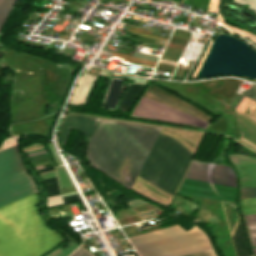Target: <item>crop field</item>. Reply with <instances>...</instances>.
<instances>
[{
    "mask_svg": "<svg viewBox=\"0 0 256 256\" xmlns=\"http://www.w3.org/2000/svg\"><path fill=\"white\" fill-rule=\"evenodd\" d=\"M59 194V193H58ZM55 195V194H54ZM51 196V195H50Z\"/></svg>",
    "mask_w": 256,
    "mask_h": 256,
    "instance_id": "obj_38",
    "label": "crop field"
},
{
    "mask_svg": "<svg viewBox=\"0 0 256 256\" xmlns=\"http://www.w3.org/2000/svg\"><path fill=\"white\" fill-rule=\"evenodd\" d=\"M192 156L179 142L159 133L138 175L173 196Z\"/></svg>",
    "mask_w": 256,
    "mask_h": 256,
    "instance_id": "obj_3",
    "label": "crop field"
},
{
    "mask_svg": "<svg viewBox=\"0 0 256 256\" xmlns=\"http://www.w3.org/2000/svg\"><path fill=\"white\" fill-rule=\"evenodd\" d=\"M84 249L79 248L77 251H75L71 256H78L81 252H83Z\"/></svg>",
    "mask_w": 256,
    "mask_h": 256,
    "instance_id": "obj_29",
    "label": "crop field"
},
{
    "mask_svg": "<svg viewBox=\"0 0 256 256\" xmlns=\"http://www.w3.org/2000/svg\"><path fill=\"white\" fill-rule=\"evenodd\" d=\"M52 163H50V164H46V165H44L45 166V168H47V167H51L52 165H51Z\"/></svg>",
    "mask_w": 256,
    "mask_h": 256,
    "instance_id": "obj_34",
    "label": "crop field"
},
{
    "mask_svg": "<svg viewBox=\"0 0 256 256\" xmlns=\"http://www.w3.org/2000/svg\"><path fill=\"white\" fill-rule=\"evenodd\" d=\"M113 54L121 56V57H125V58H127L128 61H132V62H136V63H140V64L151 65V66H155V64H156V62H153V61L134 58V57H131V56L125 55V54H120V53H116V52H114Z\"/></svg>",
    "mask_w": 256,
    "mask_h": 256,
    "instance_id": "obj_16",
    "label": "crop field"
},
{
    "mask_svg": "<svg viewBox=\"0 0 256 256\" xmlns=\"http://www.w3.org/2000/svg\"><path fill=\"white\" fill-rule=\"evenodd\" d=\"M43 181H44L45 185L58 182L56 177L50 178V179H45V180H43Z\"/></svg>",
    "mask_w": 256,
    "mask_h": 256,
    "instance_id": "obj_27",
    "label": "crop field"
},
{
    "mask_svg": "<svg viewBox=\"0 0 256 256\" xmlns=\"http://www.w3.org/2000/svg\"><path fill=\"white\" fill-rule=\"evenodd\" d=\"M79 256H91V254L85 250V251H84L83 253H81Z\"/></svg>",
    "mask_w": 256,
    "mask_h": 256,
    "instance_id": "obj_31",
    "label": "crop field"
},
{
    "mask_svg": "<svg viewBox=\"0 0 256 256\" xmlns=\"http://www.w3.org/2000/svg\"><path fill=\"white\" fill-rule=\"evenodd\" d=\"M229 159L238 169L241 188L256 187V158L230 155Z\"/></svg>",
    "mask_w": 256,
    "mask_h": 256,
    "instance_id": "obj_8",
    "label": "crop field"
},
{
    "mask_svg": "<svg viewBox=\"0 0 256 256\" xmlns=\"http://www.w3.org/2000/svg\"><path fill=\"white\" fill-rule=\"evenodd\" d=\"M35 145H40V144H34V145H31V146H35ZM28 147H30V146H28ZM25 148V147H24Z\"/></svg>",
    "mask_w": 256,
    "mask_h": 256,
    "instance_id": "obj_36",
    "label": "crop field"
},
{
    "mask_svg": "<svg viewBox=\"0 0 256 256\" xmlns=\"http://www.w3.org/2000/svg\"><path fill=\"white\" fill-rule=\"evenodd\" d=\"M132 56H134V57H139V58L150 59V60H155V61L158 60V59H156V58H152V57H148V56H144V55H140V54H136V53H133Z\"/></svg>",
    "mask_w": 256,
    "mask_h": 256,
    "instance_id": "obj_28",
    "label": "crop field"
},
{
    "mask_svg": "<svg viewBox=\"0 0 256 256\" xmlns=\"http://www.w3.org/2000/svg\"><path fill=\"white\" fill-rule=\"evenodd\" d=\"M16 0H0V28Z\"/></svg>",
    "mask_w": 256,
    "mask_h": 256,
    "instance_id": "obj_11",
    "label": "crop field"
},
{
    "mask_svg": "<svg viewBox=\"0 0 256 256\" xmlns=\"http://www.w3.org/2000/svg\"><path fill=\"white\" fill-rule=\"evenodd\" d=\"M237 256H250L241 219L233 236Z\"/></svg>",
    "mask_w": 256,
    "mask_h": 256,
    "instance_id": "obj_9",
    "label": "crop field"
},
{
    "mask_svg": "<svg viewBox=\"0 0 256 256\" xmlns=\"http://www.w3.org/2000/svg\"><path fill=\"white\" fill-rule=\"evenodd\" d=\"M140 256H181L212 248L197 227L185 231L179 225L129 237Z\"/></svg>",
    "mask_w": 256,
    "mask_h": 256,
    "instance_id": "obj_4",
    "label": "crop field"
},
{
    "mask_svg": "<svg viewBox=\"0 0 256 256\" xmlns=\"http://www.w3.org/2000/svg\"><path fill=\"white\" fill-rule=\"evenodd\" d=\"M76 247H77L76 244L69 241L68 242V248H66L65 250L59 248V249L55 250L54 252L50 253L47 256H67Z\"/></svg>",
    "mask_w": 256,
    "mask_h": 256,
    "instance_id": "obj_14",
    "label": "crop field"
},
{
    "mask_svg": "<svg viewBox=\"0 0 256 256\" xmlns=\"http://www.w3.org/2000/svg\"><path fill=\"white\" fill-rule=\"evenodd\" d=\"M56 170L61 188L73 185L64 167Z\"/></svg>",
    "mask_w": 256,
    "mask_h": 256,
    "instance_id": "obj_13",
    "label": "crop field"
},
{
    "mask_svg": "<svg viewBox=\"0 0 256 256\" xmlns=\"http://www.w3.org/2000/svg\"><path fill=\"white\" fill-rule=\"evenodd\" d=\"M185 256H216V254L213 251V249H210V250H206V251H202V252H198V253H194V254H189V255H185Z\"/></svg>",
    "mask_w": 256,
    "mask_h": 256,
    "instance_id": "obj_20",
    "label": "crop field"
},
{
    "mask_svg": "<svg viewBox=\"0 0 256 256\" xmlns=\"http://www.w3.org/2000/svg\"><path fill=\"white\" fill-rule=\"evenodd\" d=\"M255 252V255H256V251H254Z\"/></svg>",
    "mask_w": 256,
    "mask_h": 256,
    "instance_id": "obj_37",
    "label": "crop field"
},
{
    "mask_svg": "<svg viewBox=\"0 0 256 256\" xmlns=\"http://www.w3.org/2000/svg\"><path fill=\"white\" fill-rule=\"evenodd\" d=\"M42 148H43V147L36 148V149H32V150H28V151H33V150L42 149ZM28 151H25V152H28Z\"/></svg>",
    "mask_w": 256,
    "mask_h": 256,
    "instance_id": "obj_35",
    "label": "crop field"
},
{
    "mask_svg": "<svg viewBox=\"0 0 256 256\" xmlns=\"http://www.w3.org/2000/svg\"><path fill=\"white\" fill-rule=\"evenodd\" d=\"M38 151V150H37ZM29 153V152H28Z\"/></svg>",
    "mask_w": 256,
    "mask_h": 256,
    "instance_id": "obj_39",
    "label": "crop field"
},
{
    "mask_svg": "<svg viewBox=\"0 0 256 256\" xmlns=\"http://www.w3.org/2000/svg\"><path fill=\"white\" fill-rule=\"evenodd\" d=\"M240 204L244 215L256 213V198L241 200Z\"/></svg>",
    "mask_w": 256,
    "mask_h": 256,
    "instance_id": "obj_12",
    "label": "crop field"
},
{
    "mask_svg": "<svg viewBox=\"0 0 256 256\" xmlns=\"http://www.w3.org/2000/svg\"><path fill=\"white\" fill-rule=\"evenodd\" d=\"M144 97L149 98L151 100H154L156 102H159L161 104H164L166 106H169L173 109H176L178 111H181L183 113H186L188 115H191L195 117V115H199L207 120H211L213 117L205 114L204 112L198 110L193 105L165 92L164 90L158 88L157 86L151 84L146 93L144 94ZM208 121V122H209Z\"/></svg>",
    "mask_w": 256,
    "mask_h": 256,
    "instance_id": "obj_6",
    "label": "crop field"
},
{
    "mask_svg": "<svg viewBox=\"0 0 256 256\" xmlns=\"http://www.w3.org/2000/svg\"><path fill=\"white\" fill-rule=\"evenodd\" d=\"M250 118L256 121V110L254 111Z\"/></svg>",
    "mask_w": 256,
    "mask_h": 256,
    "instance_id": "obj_33",
    "label": "crop field"
},
{
    "mask_svg": "<svg viewBox=\"0 0 256 256\" xmlns=\"http://www.w3.org/2000/svg\"><path fill=\"white\" fill-rule=\"evenodd\" d=\"M100 121V118L67 114L59 137L60 143L65 145L71 128H78L89 141Z\"/></svg>",
    "mask_w": 256,
    "mask_h": 256,
    "instance_id": "obj_7",
    "label": "crop field"
},
{
    "mask_svg": "<svg viewBox=\"0 0 256 256\" xmlns=\"http://www.w3.org/2000/svg\"><path fill=\"white\" fill-rule=\"evenodd\" d=\"M45 150H42V151H38V152H33V153H29L27 154L28 156H31V155H35V154H40V153H44Z\"/></svg>",
    "mask_w": 256,
    "mask_h": 256,
    "instance_id": "obj_30",
    "label": "crop field"
},
{
    "mask_svg": "<svg viewBox=\"0 0 256 256\" xmlns=\"http://www.w3.org/2000/svg\"><path fill=\"white\" fill-rule=\"evenodd\" d=\"M142 88L143 86L130 85L125 95L123 96L119 104V107L127 112V110L129 109V107L131 106V104L133 103V101L135 100V98L137 97Z\"/></svg>",
    "mask_w": 256,
    "mask_h": 256,
    "instance_id": "obj_10",
    "label": "crop field"
},
{
    "mask_svg": "<svg viewBox=\"0 0 256 256\" xmlns=\"http://www.w3.org/2000/svg\"><path fill=\"white\" fill-rule=\"evenodd\" d=\"M247 220L252 233L254 244L256 245V215H248Z\"/></svg>",
    "mask_w": 256,
    "mask_h": 256,
    "instance_id": "obj_17",
    "label": "crop field"
},
{
    "mask_svg": "<svg viewBox=\"0 0 256 256\" xmlns=\"http://www.w3.org/2000/svg\"><path fill=\"white\" fill-rule=\"evenodd\" d=\"M126 30L129 31V32L135 33V34H139V35H143V36H146V37L166 41L165 39H162V38L151 35L152 34L151 31H147V30H143V29H139V28H135V27H131V26H127Z\"/></svg>",
    "mask_w": 256,
    "mask_h": 256,
    "instance_id": "obj_15",
    "label": "crop field"
},
{
    "mask_svg": "<svg viewBox=\"0 0 256 256\" xmlns=\"http://www.w3.org/2000/svg\"><path fill=\"white\" fill-rule=\"evenodd\" d=\"M79 199L80 198H79L78 194L63 197V200H64L65 203L75 201V200H79Z\"/></svg>",
    "mask_w": 256,
    "mask_h": 256,
    "instance_id": "obj_23",
    "label": "crop field"
},
{
    "mask_svg": "<svg viewBox=\"0 0 256 256\" xmlns=\"http://www.w3.org/2000/svg\"><path fill=\"white\" fill-rule=\"evenodd\" d=\"M133 115L166 121L189 124L193 117L153 102L148 99L140 101Z\"/></svg>",
    "mask_w": 256,
    "mask_h": 256,
    "instance_id": "obj_5",
    "label": "crop field"
},
{
    "mask_svg": "<svg viewBox=\"0 0 256 256\" xmlns=\"http://www.w3.org/2000/svg\"><path fill=\"white\" fill-rule=\"evenodd\" d=\"M36 189L18 144L0 151V205ZM37 201L36 190L0 206V256H43L65 241L41 219Z\"/></svg>",
    "mask_w": 256,
    "mask_h": 256,
    "instance_id": "obj_1",
    "label": "crop field"
},
{
    "mask_svg": "<svg viewBox=\"0 0 256 256\" xmlns=\"http://www.w3.org/2000/svg\"><path fill=\"white\" fill-rule=\"evenodd\" d=\"M243 96L239 95L236 93V95L234 96V98L231 100L230 105H232L233 107L236 108V106L238 105V103L240 102V100L242 99Z\"/></svg>",
    "mask_w": 256,
    "mask_h": 256,
    "instance_id": "obj_21",
    "label": "crop field"
},
{
    "mask_svg": "<svg viewBox=\"0 0 256 256\" xmlns=\"http://www.w3.org/2000/svg\"><path fill=\"white\" fill-rule=\"evenodd\" d=\"M253 197H256V188L241 190V199L253 198Z\"/></svg>",
    "mask_w": 256,
    "mask_h": 256,
    "instance_id": "obj_19",
    "label": "crop field"
},
{
    "mask_svg": "<svg viewBox=\"0 0 256 256\" xmlns=\"http://www.w3.org/2000/svg\"><path fill=\"white\" fill-rule=\"evenodd\" d=\"M53 169H54V167L48 168V169L39 170L38 173L49 171V170H53Z\"/></svg>",
    "mask_w": 256,
    "mask_h": 256,
    "instance_id": "obj_32",
    "label": "crop field"
},
{
    "mask_svg": "<svg viewBox=\"0 0 256 256\" xmlns=\"http://www.w3.org/2000/svg\"><path fill=\"white\" fill-rule=\"evenodd\" d=\"M46 188H47V195L60 191L58 184L52 185V186H48Z\"/></svg>",
    "mask_w": 256,
    "mask_h": 256,
    "instance_id": "obj_22",
    "label": "crop field"
},
{
    "mask_svg": "<svg viewBox=\"0 0 256 256\" xmlns=\"http://www.w3.org/2000/svg\"><path fill=\"white\" fill-rule=\"evenodd\" d=\"M61 204H63L62 199H61V195L52 196V197L47 198V208L57 206V205H61Z\"/></svg>",
    "mask_w": 256,
    "mask_h": 256,
    "instance_id": "obj_18",
    "label": "crop field"
},
{
    "mask_svg": "<svg viewBox=\"0 0 256 256\" xmlns=\"http://www.w3.org/2000/svg\"><path fill=\"white\" fill-rule=\"evenodd\" d=\"M161 128L102 119L86 157L122 185L131 187Z\"/></svg>",
    "mask_w": 256,
    "mask_h": 256,
    "instance_id": "obj_2",
    "label": "crop field"
},
{
    "mask_svg": "<svg viewBox=\"0 0 256 256\" xmlns=\"http://www.w3.org/2000/svg\"><path fill=\"white\" fill-rule=\"evenodd\" d=\"M47 157H48L47 153H44L40 155L31 156L29 158H30V161H33V160H38V159L47 158Z\"/></svg>",
    "mask_w": 256,
    "mask_h": 256,
    "instance_id": "obj_25",
    "label": "crop field"
},
{
    "mask_svg": "<svg viewBox=\"0 0 256 256\" xmlns=\"http://www.w3.org/2000/svg\"><path fill=\"white\" fill-rule=\"evenodd\" d=\"M40 176H41L42 179H45V178H49V177H54V176H56V175H55V172L52 171V172L40 174Z\"/></svg>",
    "mask_w": 256,
    "mask_h": 256,
    "instance_id": "obj_26",
    "label": "crop field"
},
{
    "mask_svg": "<svg viewBox=\"0 0 256 256\" xmlns=\"http://www.w3.org/2000/svg\"><path fill=\"white\" fill-rule=\"evenodd\" d=\"M246 96H249L251 98L256 99V85L253 84V86L250 88V90L247 92Z\"/></svg>",
    "mask_w": 256,
    "mask_h": 256,
    "instance_id": "obj_24",
    "label": "crop field"
}]
</instances>
